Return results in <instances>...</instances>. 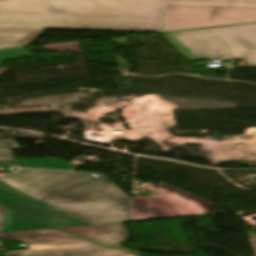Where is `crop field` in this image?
<instances>
[{
  "label": "crop field",
  "instance_id": "1",
  "mask_svg": "<svg viewBox=\"0 0 256 256\" xmlns=\"http://www.w3.org/2000/svg\"><path fill=\"white\" fill-rule=\"evenodd\" d=\"M242 0H0V49L30 46L46 29L160 32L167 4Z\"/></svg>",
  "mask_w": 256,
  "mask_h": 256
},
{
  "label": "crop field",
  "instance_id": "2",
  "mask_svg": "<svg viewBox=\"0 0 256 256\" xmlns=\"http://www.w3.org/2000/svg\"><path fill=\"white\" fill-rule=\"evenodd\" d=\"M108 179L25 169L0 179V203L28 217L67 213L91 225L128 221L130 199Z\"/></svg>",
  "mask_w": 256,
  "mask_h": 256
},
{
  "label": "crop field",
  "instance_id": "3",
  "mask_svg": "<svg viewBox=\"0 0 256 256\" xmlns=\"http://www.w3.org/2000/svg\"><path fill=\"white\" fill-rule=\"evenodd\" d=\"M189 61L241 57L256 65V24L161 34Z\"/></svg>",
  "mask_w": 256,
  "mask_h": 256
},
{
  "label": "crop field",
  "instance_id": "4",
  "mask_svg": "<svg viewBox=\"0 0 256 256\" xmlns=\"http://www.w3.org/2000/svg\"><path fill=\"white\" fill-rule=\"evenodd\" d=\"M1 239L27 242L31 250L9 252V256H138L123 249H110L47 229L0 234Z\"/></svg>",
  "mask_w": 256,
  "mask_h": 256
},
{
  "label": "crop field",
  "instance_id": "5",
  "mask_svg": "<svg viewBox=\"0 0 256 256\" xmlns=\"http://www.w3.org/2000/svg\"><path fill=\"white\" fill-rule=\"evenodd\" d=\"M210 214V203L159 182L150 197L131 198L129 221Z\"/></svg>",
  "mask_w": 256,
  "mask_h": 256
},
{
  "label": "crop field",
  "instance_id": "6",
  "mask_svg": "<svg viewBox=\"0 0 256 256\" xmlns=\"http://www.w3.org/2000/svg\"><path fill=\"white\" fill-rule=\"evenodd\" d=\"M256 22V8L168 5L163 32Z\"/></svg>",
  "mask_w": 256,
  "mask_h": 256
},
{
  "label": "crop field",
  "instance_id": "7",
  "mask_svg": "<svg viewBox=\"0 0 256 256\" xmlns=\"http://www.w3.org/2000/svg\"><path fill=\"white\" fill-rule=\"evenodd\" d=\"M58 230L91 239L111 247H119L127 237L121 223L99 226L58 228Z\"/></svg>",
  "mask_w": 256,
  "mask_h": 256
},
{
  "label": "crop field",
  "instance_id": "8",
  "mask_svg": "<svg viewBox=\"0 0 256 256\" xmlns=\"http://www.w3.org/2000/svg\"><path fill=\"white\" fill-rule=\"evenodd\" d=\"M47 229V227L0 206V233Z\"/></svg>",
  "mask_w": 256,
  "mask_h": 256
},
{
  "label": "crop field",
  "instance_id": "9",
  "mask_svg": "<svg viewBox=\"0 0 256 256\" xmlns=\"http://www.w3.org/2000/svg\"><path fill=\"white\" fill-rule=\"evenodd\" d=\"M15 162L22 167H29V168L71 170L76 167L56 159L23 160V161H15Z\"/></svg>",
  "mask_w": 256,
  "mask_h": 256
},
{
  "label": "crop field",
  "instance_id": "10",
  "mask_svg": "<svg viewBox=\"0 0 256 256\" xmlns=\"http://www.w3.org/2000/svg\"><path fill=\"white\" fill-rule=\"evenodd\" d=\"M33 219L51 227V228L89 225L88 223H86L83 220L69 217L67 215L52 216V217H40V218H33Z\"/></svg>",
  "mask_w": 256,
  "mask_h": 256
},
{
  "label": "crop field",
  "instance_id": "11",
  "mask_svg": "<svg viewBox=\"0 0 256 256\" xmlns=\"http://www.w3.org/2000/svg\"><path fill=\"white\" fill-rule=\"evenodd\" d=\"M31 57L27 47L1 49L0 50V65L7 59L27 58Z\"/></svg>",
  "mask_w": 256,
  "mask_h": 256
},
{
  "label": "crop field",
  "instance_id": "12",
  "mask_svg": "<svg viewBox=\"0 0 256 256\" xmlns=\"http://www.w3.org/2000/svg\"><path fill=\"white\" fill-rule=\"evenodd\" d=\"M18 149L14 140L0 141V150Z\"/></svg>",
  "mask_w": 256,
  "mask_h": 256
},
{
  "label": "crop field",
  "instance_id": "13",
  "mask_svg": "<svg viewBox=\"0 0 256 256\" xmlns=\"http://www.w3.org/2000/svg\"><path fill=\"white\" fill-rule=\"evenodd\" d=\"M0 160H14L11 151H1Z\"/></svg>",
  "mask_w": 256,
  "mask_h": 256
},
{
  "label": "crop field",
  "instance_id": "14",
  "mask_svg": "<svg viewBox=\"0 0 256 256\" xmlns=\"http://www.w3.org/2000/svg\"><path fill=\"white\" fill-rule=\"evenodd\" d=\"M242 6L256 7V0H243Z\"/></svg>",
  "mask_w": 256,
  "mask_h": 256
},
{
  "label": "crop field",
  "instance_id": "15",
  "mask_svg": "<svg viewBox=\"0 0 256 256\" xmlns=\"http://www.w3.org/2000/svg\"><path fill=\"white\" fill-rule=\"evenodd\" d=\"M249 240H250V243L252 245L253 251H254L255 256H256V237L250 238Z\"/></svg>",
  "mask_w": 256,
  "mask_h": 256
},
{
  "label": "crop field",
  "instance_id": "16",
  "mask_svg": "<svg viewBox=\"0 0 256 256\" xmlns=\"http://www.w3.org/2000/svg\"><path fill=\"white\" fill-rule=\"evenodd\" d=\"M0 256H6V254H1V253H0Z\"/></svg>",
  "mask_w": 256,
  "mask_h": 256
}]
</instances>
